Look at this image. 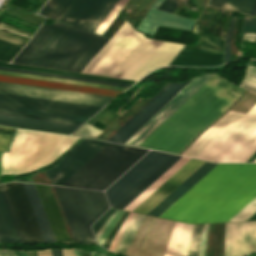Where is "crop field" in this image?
Segmentation results:
<instances>
[{
    "mask_svg": "<svg viewBox=\"0 0 256 256\" xmlns=\"http://www.w3.org/2000/svg\"><path fill=\"white\" fill-rule=\"evenodd\" d=\"M243 91L244 89L214 75L140 146L178 154L199 131L226 110Z\"/></svg>",
    "mask_w": 256,
    "mask_h": 256,
    "instance_id": "8a807250",
    "label": "crop field"
},
{
    "mask_svg": "<svg viewBox=\"0 0 256 256\" xmlns=\"http://www.w3.org/2000/svg\"><path fill=\"white\" fill-rule=\"evenodd\" d=\"M108 40L61 23L44 24L12 62L81 72Z\"/></svg>",
    "mask_w": 256,
    "mask_h": 256,
    "instance_id": "ac0d7876",
    "label": "crop field"
},
{
    "mask_svg": "<svg viewBox=\"0 0 256 256\" xmlns=\"http://www.w3.org/2000/svg\"><path fill=\"white\" fill-rule=\"evenodd\" d=\"M147 151L108 143L62 185L103 190Z\"/></svg>",
    "mask_w": 256,
    "mask_h": 256,
    "instance_id": "34b2d1b8",
    "label": "crop field"
},
{
    "mask_svg": "<svg viewBox=\"0 0 256 256\" xmlns=\"http://www.w3.org/2000/svg\"><path fill=\"white\" fill-rule=\"evenodd\" d=\"M53 187L74 241L96 243L89 225L108 209L103 192Z\"/></svg>",
    "mask_w": 256,
    "mask_h": 256,
    "instance_id": "412701ff",
    "label": "crop field"
},
{
    "mask_svg": "<svg viewBox=\"0 0 256 256\" xmlns=\"http://www.w3.org/2000/svg\"><path fill=\"white\" fill-rule=\"evenodd\" d=\"M256 151V104L216 138L200 159L216 162H245Z\"/></svg>",
    "mask_w": 256,
    "mask_h": 256,
    "instance_id": "f4fd0767",
    "label": "crop field"
},
{
    "mask_svg": "<svg viewBox=\"0 0 256 256\" xmlns=\"http://www.w3.org/2000/svg\"><path fill=\"white\" fill-rule=\"evenodd\" d=\"M182 46L144 37L111 76L137 80L159 66H166Z\"/></svg>",
    "mask_w": 256,
    "mask_h": 256,
    "instance_id": "dd49c442",
    "label": "crop field"
},
{
    "mask_svg": "<svg viewBox=\"0 0 256 256\" xmlns=\"http://www.w3.org/2000/svg\"><path fill=\"white\" fill-rule=\"evenodd\" d=\"M21 242H44L21 183L0 185Z\"/></svg>",
    "mask_w": 256,
    "mask_h": 256,
    "instance_id": "e52e79f7",
    "label": "crop field"
},
{
    "mask_svg": "<svg viewBox=\"0 0 256 256\" xmlns=\"http://www.w3.org/2000/svg\"><path fill=\"white\" fill-rule=\"evenodd\" d=\"M171 156V154L150 151L106 190L109 205L114 207Z\"/></svg>",
    "mask_w": 256,
    "mask_h": 256,
    "instance_id": "d8731c3e",
    "label": "crop field"
},
{
    "mask_svg": "<svg viewBox=\"0 0 256 256\" xmlns=\"http://www.w3.org/2000/svg\"><path fill=\"white\" fill-rule=\"evenodd\" d=\"M190 80L183 84L167 83L108 140L124 144Z\"/></svg>",
    "mask_w": 256,
    "mask_h": 256,
    "instance_id": "5a996713",
    "label": "crop field"
},
{
    "mask_svg": "<svg viewBox=\"0 0 256 256\" xmlns=\"http://www.w3.org/2000/svg\"><path fill=\"white\" fill-rule=\"evenodd\" d=\"M103 1L104 0H50L40 14L82 29Z\"/></svg>",
    "mask_w": 256,
    "mask_h": 256,
    "instance_id": "3316defc",
    "label": "crop field"
},
{
    "mask_svg": "<svg viewBox=\"0 0 256 256\" xmlns=\"http://www.w3.org/2000/svg\"><path fill=\"white\" fill-rule=\"evenodd\" d=\"M193 33L224 49V41L196 24ZM224 50L184 46L170 65L204 66L223 63Z\"/></svg>",
    "mask_w": 256,
    "mask_h": 256,
    "instance_id": "28ad6ade",
    "label": "crop field"
},
{
    "mask_svg": "<svg viewBox=\"0 0 256 256\" xmlns=\"http://www.w3.org/2000/svg\"><path fill=\"white\" fill-rule=\"evenodd\" d=\"M0 92L103 106L111 97L0 82Z\"/></svg>",
    "mask_w": 256,
    "mask_h": 256,
    "instance_id": "d1516ede",
    "label": "crop field"
},
{
    "mask_svg": "<svg viewBox=\"0 0 256 256\" xmlns=\"http://www.w3.org/2000/svg\"><path fill=\"white\" fill-rule=\"evenodd\" d=\"M106 144V142L84 139L66 154L57 166L45 171L52 184L61 185Z\"/></svg>",
    "mask_w": 256,
    "mask_h": 256,
    "instance_id": "22f410ed",
    "label": "crop field"
},
{
    "mask_svg": "<svg viewBox=\"0 0 256 256\" xmlns=\"http://www.w3.org/2000/svg\"><path fill=\"white\" fill-rule=\"evenodd\" d=\"M213 75L204 74L193 78L174 98H172L154 117H152L134 136L125 144L139 146L140 143L155 130L168 116L186 102L203 84Z\"/></svg>",
    "mask_w": 256,
    "mask_h": 256,
    "instance_id": "cbeb9de0",
    "label": "crop field"
},
{
    "mask_svg": "<svg viewBox=\"0 0 256 256\" xmlns=\"http://www.w3.org/2000/svg\"><path fill=\"white\" fill-rule=\"evenodd\" d=\"M0 104L91 117L101 108L7 94H0Z\"/></svg>",
    "mask_w": 256,
    "mask_h": 256,
    "instance_id": "5142ce71",
    "label": "crop field"
},
{
    "mask_svg": "<svg viewBox=\"0 0 256 256\" xmlns=\"http://www.w3.org/2000/svg\"><path fill=\"white\" fill-rule=\"evenodd\" d=\"M256 251V221L226 223L225 256Z\"/></svg>",
    "mask_w": 256,
    "mask_h": 256,
    "instance_id": "d9b57169",
    "label": "crop field"
},
{
    "mask_svg": "<svg viewBox=\"0 0 256 256\" xmlns=\"http://www.w3.org/2000/svg\"><path fill=\"white\" fill-rule=\"evenodd\" d=\"M143 37L131 26L91 73L110 76Z\"/></svg>",
    "mask_w": 256,
    "mask_h": 256,
    "instance_id": "733c2abd",
    "label": "crop field"
},
{
    "mask_svg": "<svg viewBox=\"0 0 256 256\" xmlns=\"http://www.w3.org/2000/svg\"><path fill=\"white\" fill-rule=\"evenodd\" d=\"M204 163L191 159L133 211L147 214Z\"/></svg>",
    "mask_w": 256,
    "mask_h": 256,
    "instance_id": "4a817a6b",
    "label": "crop field"
},
{
    "mask_svg": "<svg viewBox=\"0 0 256 256\" xmlns=\"http://www.w3.org/2000/svg\"><path fill=\"white\" fill-rule=\"evenodd\" d=\"M162 0H157L149 12L146 14L144 20L138 26V30L147 34H153L157 25L174 27L180 29L190 30L193 26V20L181 18L171 14H167L156 10Z\"/></svg>",
    "mask_w": 256,
    "mask_h": 256,
    "instance_id": "bc2a9ffb",
    "label": "crop field"
},
{
    "mask_svg": "<svg viewBox=\"0 0 256 256\" xmlns=\"http://www.w3.org/2000/svg\"><path fill=\"white\" fill-rule=\"evenodd\" d=\"M0 81L48 87V88H55V89H62V90H69V91H76V92H83V93H90V94H97V95H104V96H111V97H115L119 93H121L119 91H113L110 89H102V88H95V87L57 83V82H50V81H42V80H35V79L5 76V75H0Z\"/></svg>",
    "mask_w": 256,
    "mask_h": 256,
    "instance_id": "214f88e0",
    "label": "crop field"
},
{
    "mask_svg": "<svg viewBox=\"0 0 256 256\" xmlns=\"http://www.w3.org/2000/svg\"><path fill=\"white\" fill-rule=\"evenodd\" d=\"M57 241L70 240L49 186L35 184Z\"/></svg>",
    "mask_w": 256,
    "mask_h": 256,
    "instance_id": "92a150f3",
    "label": "crop field"
},
{
    "mask_svg": "<svg viewBox=\"0 0 256 256\" xmlns=\"http://www.w3.org/2000/svg\"><path fill=\"white\" fill-rule=\"evenodd\" d=\"M153 219H154V217L152 218L151 223H152ZM155 219H156V218H155ZM155 219H154V221H155ZM162 220H163V219H162ZM154 221H153V223H154ZM164 221H165V220H163L162 225H163ZM160 222H161V219L157 218L156 221H155V223H154V225H153V223H152L153 228H152V225H151V223H150V225H151V227H150V225H149L150 230H149V228H148L149 233H148V230H147L148 236H147V233H146L145 238H144V240H143V243H142V245H141V248H140L139 253H138L137 256L140 255L141 249H142V247H143V245H144V242H145V239H146V236H147L145 245H144V247H143V249H142V252H141V255H140V256H142L143 251H144V249H145V246H146V244H147L148 238H149V234H150L151 228H152V231H151V235H150L148 244H147L146 249H145L144 254H143V256H148L149 251H150V248H151V245H152V242H153V239H154V236H155V233H156V231H157V229H158V226H159ZM174 223H175V222H173V221L167 220L166 223H165V226L163 225V226H164V229H163L162 225L160 224L161 227H162V229H163V231H162V229H161L160 226H159V228H160L161 231H162V234H161V231L158 229V230L160 231V233H159V236H158V235H157L158 231H157L156 235L158 236V239H159V237H160V234H161V237H160L159 242H158V239H157L156 236H155V238L157 239L158 244H157V242H156L155 239H154V241H155L156 244H157V247H156L155 243L153 242L154 245H155V247H156V250H155V248H154L155 252H154V250L151 248V249L153 250V252H154V255H153V253L150 251L153 256H164V253H165V250H166V247H167V244H168V241H169V238H170V235H171V232H172ZM152 246H153V245H152ZM153 247H154V246H153ZM149 255H150V254H149ZM150 256H151V255H150Z\"/></svg>",
    "mask_w": 256,
    "mask_h": 256,
    "instance_id": "dafd665d",
    "label": "crop field"
},
{
    "mask_svg": "<svg viewBox=\"0 0 256 256\" xmlns=\"http://www.w3.org/2000/svg\"><path fill=\"white\" fill-rule=\"evenodd\" d=\"M216 165L206 162L148 214L159 216Z\"/></svg>",
    "mask_w": 256,
    "mask_h": 256,
    "instance_id": "00972430",
    "label": "crop field"
},
{
    "mask_svg": "<svg viewBox=\"0 0 256 256\" xmlns=\"http://www.w3.org/2000/svg\"><path fill=\"white\" fill-rule=\"evenodd\" d=\"M0 123L72 133L80 125L0 114Z\"/></svg>",
    "mask_w": 256,
    "mask_h": 256,
    "instance_id": "a9b5d70f",
    "label": "crop field"
},
{
    "mask_svg": "<svg viewBox=\"0 0 256 256\" xmlns=\"http://www.w3.org/2000/svg\"><path fill=\"white\" fill-rule=\"evenodd\" d=\"M45 242L56 241L34 184L22 183Z\"/></svg>",
    "mask_w": 256,
    "mask_h": 256,
    "instance_id": "4177f3b9",
    "label": "crop field"
},
{
    "mask_svg": "<svg viewBox=\"0 0 256 256\" xmlns=\"http://www.w3.org/2000/svg\"><path fill=\"white\" fill-rule=\"evenodd\" d=\"M181 157L173 155L162 166H160L153 174H151L144 182H142L136 189H134L127 197H125L115 207L123 209L134 198H136L143 190H145L152 182H154L160 175H162L169 167H171Z\"/></svg>",
    "mask_w": 256,
    "mask_h": 256,
    "instance_id": "730fd06b",
    "label": "crop field"
},
{
    "mask_svg": "<svg viewBox=\"0 0 256 256\" xmlns=\"http://www.w3.org/2000/svg\"><path fill=\"white\" fill-rule=\"evenodd\" d=\"M189 158L182 157L177 161L171 168H169L162 176H160L153 184H151L145 191H143L136 199H134L124 209L132 211L137 207L143 200H145L152 192H154L161 184H163L169 177H171L178 169H180Z\"/></svg>",
    "mask_w": 256,
    "mask_h": 256,
    "instance_id": "eef30255",
    "label": "crop field"
},
{
    "mask_svg": "<svg viewBox=\"0 0 256 256\" xmlns=\"http://www.w3.org/2000/svg\"><path fill=\"white\" fill-rule=\"evenodd\" d=\"M0 66H7V67H14V68L28 69V70H36V71H43V72H50V73H57V74H64V75H72V76H79V77H86V78H93V79H100V80H107V81H115V82L129 83V84H133L135 82L132 80H124V79L102 77V76H95V75H88V74H80V73L43 69V68H36V67H29V66H21V65H15V64L5 63V62H0Z\"/></svg>",
    "mask_w": 256,
    "mask_h": 256,
    "instance_id": "ae1a2a85",
    "label": "crop field"
},
{
    "mask_svg": "<svg viewBox=\"0 0 256 256\" xmlns=\"http://www.w3.org/2000/svg\"><path fill=\"white\" fill-rule=\"evenodd\" d=\"M131 25L126 21L115 35L107 42V44L100 50V52L92 59V61L85 67L82 72L90 73L92 69L99 63V61L106 55V53L113 47V45L120 39V37L127 31Z\"/></svg>",
    "mask_w": 256,
    "mask_h": 256,
    "instance_id": "d3111659",
    "label": "crop field"
},
{
    "mask_svg": "<svg viewBox=\"0 0 256 256\" xmlns=\"http://www.w3.org/2000/svg\"><path fill=\"white\" fill-rule=\"evenodd\" d=\"M0 110L85 122L89 118L0 105Z\"/></svg>",
    "mask_w": 256,
    "mask_h": 256,
    "instance_id": "750c4746",
    "label": "crop field"
},
{
    "mask_svg": "<svg viewBox=\"0 0 256 256\" xmlns=\"http://www.w3.org/2000/svg\"><path fill=\"white\" fill-rule=\"evenodd\" d=\"M144 215L135 213L125 232L123 233L115 251L125 253Z\"/></svg>",
    "mask_w": 256,
    "mask_h": 256,
    "instance_id": "bd1437ed",
    "label": "crop field"
},
{
    "mask_svg": "<svg viewBox=\"0 0 256 256\" xmlns=\"http://www.w3.org/2000/svg\"><path fill=\"white\" fill-rule=\"evenodd\" d=\"M255 0H213L211 6L249 14Z\"/></svg>",
    "mask_w": 256,
    "mask_h": 256,
    "instance_id": "1d83c4d3",
    "label": "crop field"
},
{
    "mask_svg": "<svg viewBox=\"0 0 256 256\" xmlns=\"http://www.w3.org/2000/svg\"><path fill=\"white\" fill-rule=\"evenodd\" d=\"M117 1L118 0H105L104 3L100 6V8L96 11V13L92 16V18L85 25L83 30L93 32L94 29L98 26V24L102 21V19L111 10V8L115 5V3Z\"/></svg>",
    "mask_w": 256,
    "mask_h": 256,
    "instance_id": "120bbe31",
    "label": "crop field"
},
{
    "mask_svg": "<svg viewBox=\"0 0 256 256\" xmlns=\"http://www.w3.org/2000/svg\"><path fill=\"white\" fill-rule=\"evenodd\" d=\"M151 218L152 217H150V216H146V215L144 216V218H143V220H142V222H141V224H140V226H139V228H138V230H137V232H136V234L126 252V255H128V256H136L137 255Z\"/></svg>",
    "mask_w": 256,
    "mask_h": 256,
    "instance_id": "d32e631a",
    "label": "crop field"
},
{
    "mask_svg": "<svg viewBox=\"0 0 256 256\" xmlns=\"http://www.w3.org/2000/svg\"><path fill=\"white\" fill-rule=\"evenodd\" d=\"M0 74L27 77V78H35V79H42V80H50V81H57V82H65V83H72V84H80V85H87V86H95V87H102V88H110V89H116L119 91H123L124 89H126L124 87H116V86L94 84V83H87V82H80V81H72V80H65V79H58V78H50V77H43V76H35V75H28V74H21V73H13V72H6V71H0Z\"/></svg>",
    "mask_w": 256,
    "mask_h": 256,
    "instance_id": "5866460e",
    "label": "crop field"
},
{
    "mask_svg": "<svg viewBox=\"0 0 256 256\" xmlns=\"http://www.w3.org/2000/svg\"><path fill=\"white\" fill-rule=\"evenodd\" d=\"M0 70L43 75V76H50V77H58V78H65V79H72V80H80V81H87V82H94V83H102V84H109V85H116V86H124V87L130 86L129 84L107 82V81H100V80H93V79H86V78H79V77H72V76H64V75H57V74H50V73H43V72H36V71H28V70H21V69L7 68V67H0Z\"/></svg>",
    "mask_w": 256,
    "mask_h": 256,
    "instance_id": "028f5c9d",
    "label": "crop field"
},
{
    "mask_svg": "<svg viewBox=\"0 0 256 256\" xmlns=\"http://www.w3.org/2000/svg\"><path fill=\"white\" fill-rule=\"evenodd\" d=\"M0 29L15 33V34L27 37V38L30 36V33H28V32H25L20 29H17V28H14V27H11V26H8L5 24H1V23H0ZM0 39L8 41L13 44H16L21 47H23V45L26 42V39H23V38H20V37H17V36L2 32V31H0Z\"/></svg>",
    "mask_w": 256,
    "mask_h": 256,
    "instance_id": "e1f06a70",
    "label": "crop field"
},
{
    "mask_svg": "<svg viewBox=\"0 0 256 256\" xmlns=\"http://www.w3.org/2000/svg\"><path fill=\"white\" fill-rule=\"evenodd\" d=\"M0 213H1L3 222L5 224V227L7 229V232L9 234V237H10L11 241L12 242H20L17 235H16V232L14 230V227H13L12 221L10 219L9 213L7 211L5 202L3 200L1 191H0Z\"/></svg>",
    "mask_w": 256,
    "mask_h": 256,
    "instance_id": "0bd39190",
    "label": "crop field"
},
{
    "mask_svg": "<svg viewBox=\"0 0 256 256\" xmlns=\"http://www.w3.org/2000/svg\"><path fill=\"white\" fill-rule=\"evenodd\" d=\"M127 1L128 0H119L112 8V10L108 13V15L104 18V20L100 23V25L96 28L94 33L101 35L105 28L109 25V23L113 20V18L117 15V13L121 10V8Z\"/></svg>",
    "mask_w": 256,
    "mask_h": 256,
    "instance_id": "b80d0937",
    "label": "crop field"
},
{
    "mask_svg": "<svg viewBox=\"0 0 256 256\" xmlns=\"http://www.w3.org/2000/svg\"><path fill=\"white\" fill-rule=\"evenodd\" d=\"M20 49L21 47L0 40V60L9 62Z\"/></svg>",
    "mask_w": 256,
    "mask_h": 256,
    "instance_id": "c035e120",
    "label": "crop field"
},
{
    "mask_svg": "<svg viewBox=\"0 0 256 256\" xmlns=\"http://www.w3.org/2000/svg\"><path fill=\"white\" fill-rule=\"evenodd\" d=\"M183 225L182 223H175L165 256H174Z\"/></svg>",
    "mask_w": 256,
    "mask_h": 256,
    "instance_id": "c21b1889",
    "label": "crop field"
},
{
    "mask_svg": "<svg viewBox=\"0 0 256 256\" xmlns=\"http://www.w3.org/2000/svg\"><path fill=\"white\" fill-rule=\"evenodd\" d=\"M256 102V93L249 91L231 110L246 113Z\"/></svg>",
    "mask_w": 256,
    "mask_h": 256,
    "instance_id": "03da06ac",
    "label": "crop field"
},
{
    "mask_svg": "<svg viewBox=\"0 0 256 256\" xmlns=\"http://www.w3.org/2000/svg\"><path fill=\"white\" fill-rule=\"evenodd\" d=\"M202 226H203V224H199V225H195V227H194L188 256H198Z\"/></svg>",
    "mask_w": 256,
    "mask_h": 256,
    "instance_id": "b54c1fbb",
    "label": "crop field"
},
{
    "mask_svg": "<svg viewBox=\"0 0 256 256\" xmlns=\"http://www.w3.org/2000/svg\"><path fill=\"white\" fill-rule=\"evenodd\" d=\"M241 85L253 91H256V68L255 67H251V66L248 67Z\"/></svg>",
    "mask_w": 256,
    "mask_h": 256,
    "instance_id": "5d738f31",
    "label": "crop field"
},
{
    "mask_svg": "<svg viewBox=\"0 0 256 256\" xmlns=\"http://www.w3.org/2000/svg\"><path fill=\"white\" fill-rule=\"evenodd\" d=\"M100 132H101V130L86 124L85 126H83L80 130H78L73 135L95 138Z\"/></svg>",
    "mask_w": 256,
    "mask_h": 256,
    "instance_id": "d23c7cc5",
    "label": "crop field"
},
{
    "mask_svg": "<svg viewBox=\"0 0 256 256\" xmlns=\"http://www.w3.org/2000/svg\"><path fill=\"white\" fill-rule=\"evenodd\" d=\"M116 209L110 208L102 217H100L93 225L94 234L105 224V222L113 215Z\"/></svg>",
    "mask_w": 256,
    "mask_h": 256,
    "instance_id": "425ffa30",
    "label": "crop field"
},
{
    "mask_svg": "<svg viewBox=\"0 0 256 256\" xmlns=\"http://www.w3.org/2000/svg\"><path fill=\"white\" fill-rule=\"evenodd\" d=\"M134 213L130 212V214L128 215L127 219L125 220V222L123 223V225L121 226V228L119 229L118 233L116 234V236L114 237L109 250H114L119 238L121 237L122 233L124 232L125 228L127 227L128 223L130 222L131 218L133 217Z\"/></svg>",
    "mask_w": 256,
    "mask_h": 256,
    "instance_id": "25e5ab78",
    "label": "crop field"
},
{
    "mask_svg": "<svg viewBox=\"0 0 256 256\" xmlns=\"http://www.w3.org/2000/svg\"><path fill=\"white\" fill-rule=\"evenodd\" d=\"M234 20H235V16H232L229 26H228L227 37H226V46H225V62L229 61L230 39H231V33H232V27H233Z\"/></svg>",
    "mask_w": 256,
    "mask_h": 256,
    "instance_id": "73cf0c24",
    "label": "crop field"
},
{
    "mask_svg": "<svg viewBox=\"0 0 256 256\" xmlns=\"http://www.w3.org/2000/svg\"><path fill=\"white\" fill-rule=\"evenodd\" d=\"M180 0H164L158 9L173 13Z\"/></svg>",
    "mask_w": 256,
    "mask_h": 256,
    "instance_id": "89e229c0",
    "label": "crop field"
},
{
    "mask_svg": "<svg viewBox=\"0 0 256 256\" xmlns=\"http://www.w3.org/2000/svg\"><path fill=\"white\" fill-rule=\"evenodd\" d=\"M243 31H245V32H256V19L245 16Z\"/></svg>",
    "mask_w": 256,
    "mask_h": 256,
    "instance_id": "1f2cbd36",
    "label": "crop field"
},
{
    "mask_svg": "<svg viewBox=\"0 0 256 256\" xmlns=\"http://www.w3.org/2000/svg\"><path fill=\"white\" fill-rule=\"evenodd\" d=\"M1 129L14 130L12 128L0 127ZM12 135L0 134V151H7Z\"/></svg>",
    "mask_w": 256,
    "mask_h": 256,
    "instance_id": "dbb93151",
    "label": "crop field"
},
{
    "mask_svg": "<svg viewBox=\"0 0 256 256\" xmlns=\"http://www.w3.org/2000/svg\"><path fill=\"white\" fill-rule=\"evenodd\" d=\"M207 227H208V224H204L203 233H202V239H201V245H200V251H199V256H204L205 243H206V235H207Z\"/></svg>",
    "mask_w": 256,
    "mask_h": 256,
    "instance_id": "0fb4a251",
    "label": "crop field"
},
{
    "mask_svg": "<svg viewBox=\"0 0 256 256\" xmlns=\"http://www.w3.org/2000/svg\"><path fill=\"white\" fill-rule=\"evenodd\" d=\"M0 113H2V114H9V115H17V116H24V117H32V118H40V119H47V120H55V121H62V122H70V123L82 124L81 122L66 121V120H59V119H52V118H44V117H37V116H30V115H22V114L8 113V112H0Z\"/></svg>",
    "mask_w": 256,
    "mask_h": 256,
    "instance_id": "1d79db26",
    "label": "crop field"
},
{
    "mask_svg": "<svg viewBox=\"0 0 256 256\" xmlns=\"http://www.w3.org/2000/svg\"><path fill=\"white\" fill-rule=\"evenodd\" d=\"M0 240H1V242H10L9 238L7 236L6 230L4 228L1 217H0Z\"/></svg>",
    "mask_w": 256,
    "mask_h": 256,
    "instance_id": "9d1cf04e",
    "label": "crop field"
},
{
    "mask_svg": "<svg viewBox=\"0 0 256 256\" xmlns=\"http://www.w3.org/2000/svg\"><path fill=\"white\" fill-rule=\"evenodd\" d=\"M0 256H14L13 251L0 250Z\"/></svg>",
    "mask_w": 256,
    "mask_h": 256,
    "instance_id": "447ae74e",
    "label": "crop field"
},
{
    "mask_svg": "<svg viewBox=\"0 0 256 256\" xmlns=\"http://www.w3.org/2000/svg\"><path fill=\"white\" fill-rule=\"evenodd\" d=\"M63 256H74L73 249L71 250H62Z\"/></svg>",
    "mask_w": 256,
    "mask_h": 256,
    "instance_id": "0765c3eb",
    "label": "crop field"
},
{
    "mask_svg": "<svg viewBox=\"0 0 256 256\" xmlns=\"http://www.w3.org/2000/svg\"><path fill=\"white\" fill-rule=\"evenodd\" d=\"M52 256H62L61 250H51Z\"/></svg>",
    "mask_w": 256,
    "mask_h": 256,
    "instance_id": "db79e9e6",
    "label": "crop field"
},
{
    "mask_svg": "<svg viewBox=\"0 0 256 256\" xmlns=\"http://www.w3.org/2000/svg\"><path fill=\"white\" fill-rule=\"evenodd\" d=\"M38 256H51V252L50 250L48 251V254H47V251H42V252H37Z\"/></svg>",
    "mask_w": 256,
    "mask_h": 256,
    "instance_id": "7b73153f",
    "label": "crop field"
},
{
    "mask_svg": "<svg viewBox=\"0 0 256 256\" xmlns=\"http://www.w3.org/2000/svg\"><path fill=\"white\" fill-rule=\"evenodd\" d=\"M255 159H256V152L246 162H253Z\"/></svg>",
    "mask_w": 256,
    "mask_h": 256,
    "instance_id": "78b8030e",
    "label": "crop field"
},
{
    "mask_svg": "<svg viewBox=\"0 0 256 256\" xmlns=\"http://www.w3.org/2000/svg\"><path fill=\"white\" fill-rule=\"evenodd\" d=\"M255 12H256V1H255V4H254V6H253V8H252V10H251L250 15H254Z\"/></svg>",
    "mask_w": 256,
    "mask_h": 256,
    "instance_id": "0f1d7ab4",
    "label": "crop field"
},
{
    "mask_svg": "<svg viewBox=\"0 0 256 256\" xmlns=\"http://www.w3.org/2000/svg\"><path fill=\"white\" fill-rule=\"evenodd\" d=\"M247 220H256V212L250 218H248Z\"/></svg>",
    "mask_w": 256,
    "mask_h": 256,
    "instance_id": "e1d0b9f6",
    "label": "crop field"
},
{
    "mask_svg": "<svg viewBox=\"0 0 256 256\" xmlns=\"http://www.w3.org/2000/svg\"><path fill=\"white\" fill-rule=\"evenodd\" d=\"M28 256H34V253L33 252H30V253H27Z\"/></svg>",
    "mask_w": 256,
    "mask_h": 256,
    "instance_id": "ae633e8c",
    "label": "crop field"
},
{
    "mask_svg": "<svg viewBox=\"0 0 256 256\" xmlns=\"http://www.w3.org/2000/svg\"><path fill=\"white\" fill-rule=\"evenodd\" d=\"M20 254H21V256H23V254H24V256H27V254L25 252H23V254H22V252H20Z\"/></svg>",
    "mask_w": 256,
    "mask_h": 256,
    "instance_id": "d14b1444",
    "label": "crop field"
},
{
    "mask_svg": "<svg viewBox=\"0 0 256 256\" xmlns=\"http://www.w3.org/2000/svg\"><path fill=\"white\" fill-rule=\"evenodd\" d=\"M92 256H100V255H98V254H96V253H93Z\"/></svg>",
    "mask_w": 256,
    "mask_h": 256,
    "instance_id": "c39391a2",
    "label": "crop field"
},
{
    "mask_svg": "<svg viewBox=\"0 0 256 256\" xmlns=\"http://www.w3.org/2000/svg\"><path fill=\"white\" fill-rule=\"evenodd\" d=\"M1 155H2V152H0V163H1Z\"/></svg>",
    "mask_w": 256,
    "mask_h": 256,
    "instance_id": "ade564c9",
    "label": "crop field"
},
{
    "mask_svg": "<svg viewBox=\"0 0 256 256\" xmlns=\"http://www.w3.org/2000/svg\"><path fill=\"white\" fill-rule=\"evenodd\" d=\"M78 255L81 256V253L78 251Z\"/></svg>",
    "mask_w": 256,
    "mask_h": 256,
    "instance_id": "c5b07064",
    "label": "crop field"
},
{
    "mask_svg": "<svg viewBox=\"0 0 256 256\" xmlns=\"http://www.w3.org/2000/svg\"><path fill=\"white\" fill-rule=\"evenodd\" d=\"M254 162H256V160Z\"/></svg>",
    "mask_w": 256,
    "mask_h": 256,
    "instance_id": "c3a83c6f",
    "label": "crop field"
},
{
    "mask_svg": "<svg viewBox=\"0 0 256 256\" xmlns=\"http://www.w3.org/2000/svg\"><path fill=\"white\" fill-rule=\"evenodd\" d=\"M255 17H256V15H255Z\"/></svg>",
    "mask_w": 256,
    "mask_h": 256,
    "instance_id": "fb207236",
    "label": "crop field"
}]
</instances>
